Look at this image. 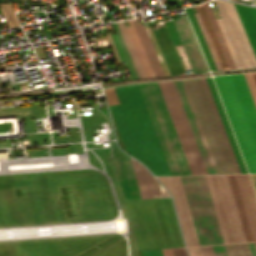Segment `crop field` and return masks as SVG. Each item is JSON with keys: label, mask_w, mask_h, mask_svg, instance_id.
<instances>
[{"label": "crop field", "mask_w": 256, "mask_h": 256, "mask_svg": "<svg viewBox=\"0 0 256 256\" xmlns=\"http://www.w3.org/2000/svg\"><path fill=\"white\" fill-rule=\"evenodd\" d=\"M114 89L121 104L110 107L127 153L154 175H171L138 86Z\"/></svg>", "instance_id": "1"}, {"label": "crop field", "mask_w": 256, "mask_h": 256, "mask_svg": "<svg viewBox=\"0 0 256 256\" xmlns=\"http://www.w3.org/2000/svg\"><path fill=\"white\" fill-rule=\"evenodd\" d=\"M138 86L171 174H191L157 83H144Z\"/></svg>", "instance_id": "2"}, {"label": "crop field", "mask_w": 256, "mask_h": 256, "mask_svg": "<svg viewBox=\"0 0 256 256\" xmlns=\"http://www.w3.org/2000/svg\"><path fill=\"white\" fill-rule=\"evenodd\" d=\"M200 245L223 243L204 176H180Z\"/></svg>", "instance_id": "3"}, {"label": "crop field", "mask_w": 256, "mask_h": 256, "mask_svg": "<svg viewBox=\"0 0 256 256\" xmlns=\"http://www.w3.org/2000/svg\"><path fill=\"white\" fill-rule=\"evenodd\" d=\"M192 174H207L172 81L157 82Z\"/></svg>", "instance_id": "4"}, {"label": "crop field", "mask_w": 256, "mask_h": 256, "mask_svg": "<svg viewBox=\"0 0 256 256\" xmlns=\"http://www.w3.org/2000/svg\"><path fill=\"white\" fill-rule=\"evenodd\" d=\"M222 70L236 68L209 3L195 6Z\"/></svg>", "instance_id": "5"}, {"label": "crop field", "mask_w": 256, "mask_h": 256, "mask_svg": "<svg viewBox=\"0 0 256 256\" xmlns=\"http://www.w3.org/2000/svg\"><path fill=\"white\" fill-rule=\"evenodd\" d=\"M208 174H218L182 80L173 81Z\"/></svg>", "instance_id": "6"}, {"label": "crop field", "mask_w": 256, "mask_h": 256, "mask_svg": "<svg viewBox=\"0 0 256 256\" xmlns=\"http://www.w3.org/2000/svg\"><path fill=\"white\" fill-rule=\"evenodd\" d=\"M112 158L124 199L141 198L130 157L116 146L112 148Z\"/></svg>", "instance_id": "7"}, {"label": "crop field", "mask_w": 256, "mask_h": 256, "mask_svg": "<svg viewBox=\"0 0 256 256\" xmlns=\"http://www.w3.org/2000/svg\"><path fill=\"white\" fill-rule=\"evenodd\" d=\"M152 29V28H151ZM153 34L156 38L158 46L161 50L163 58L166 62L168 70L171 75L181 74L179 70H182L180 60L178 58L175 47L171 41L166 27L157 28V30L152 29Z\"/></svg>", "instance_id": "8"}, {"label": "crop field", "mask_w": 256, "mask_h": 256, "mask_svg": "<svg viewBox=\"0 0 256 256\" xmlns=\"http://www.w3.org/2000/svg\"><path fill=\"white\" fill-rule=\"evenodd\" d=\"M244 204L245 212L253 236L256 241V202L248 175H235Z\"/></svg>", "instance_id": "9"}, {"label": "crop field", "mask_w": 256, "mask_h": 256, "mask_svg": "<svg viewBox=\"0 0 256 256\" xmlns=\"http://www.w3.org/2000/svg\"><path fill=\"white\" fill-rule=\"evenodd\" d=\"M256 56V8L233 4Z\"/></svg>", "instance_id": "10"}, {"label": "crop field", "mask_w": 256, "mask_h": 256, "mask_svg": "<svg viewBox=\"0 0 256 256\" xmlns=\"http://www.w3.org/2000/svg\"><path fill=\"white\" fill-rule=\"evenodd\" d=\"M172 20L174 22V25L176 27V30L178 32V35L180 37V40L182 42V45L184 47V50L186 52V55L188 57V60L190 62L193 72L194 73L203 72L181 17L178 16L173 18Z\"/></svg>", "instance_id": "11"}, {"label": "crop field", "mask_w": 256, "mask_h": 256, "mask_svg": "<svg viewBox=\"0 0 256 256\" xmlns=\"http://www.w3.org/2000/svg\"><path fill=\"white\" fill-rule=\"evenodd\" d=\"M242 173H247L211 78H205Z\"/></svg>", "instance_id": "12"}, {"label": "crop field", "mask_w": 256, "mask_h": 256, "mask_svg": "<svg viewBox=\"0 0 256 256\" xmlns=\"http://www.w3.org/2000/svg\"><path fill=\"white\" fill-rule=\"evenodd\" d=\"M247 241H253L234 175H227Z\"/></svg>", "instance_id": "13"}, {"label": "crop field", "mask_w": 256, "mask_h": 256, "mask_svg": "<svg viewBox=\"0 0 256 256\" xmlns=\"http://www.w3.org/2000/svg\"><path fill=\"white\" fill-rule=\"evenodd\" d=\"M128 22H129V24H130L131 27H128L127 30H128L129 35H130V37H131V40H132V42H133V45H134V47H135V49H136V52H137V54H138V57H139L140 62H141V64H142V67H143V69H144V71H145V74H146L147 77L154 76L153 73H152V70H151V68H150V65H149V63H148V60H147V58H146V55H145V53H144V50H143V48H142V46H141V43H140V41H139V38H138V36H137V33H136V31H135V28H134V26H133V23H132L131 20H129Z\"/></svg>", "instance_id": "14"}, {"label": "crop field", "mask_w": 256, "mask_h": 256, "mask_svg": "<svg viewBox=\"0 0 256 256\" xmlns=\"http://www.w3.org/2000/svg\"><path fill=\"white\" fill-rule=\"evenodd\" d=\"M185 11H186V13H187V15H188V18H189V20H190V22H191V25H192V27H193V29H194V32H195L196 36H197V39H198V41H199V43H200V45H201V48H202V50H203V52H204V55H205V57H206V59H207V62H208V64H209V66H210V70H217L216 67H215V65H214V62H213V60H212V58H211V55H210V53H209V50H208V48H207V46H206V43H205V41H204V39H203V36H202V34H201V32H200V29H199V27H198V24H197V22H196V20H195V17H194V15H193V13H192L191 8L188 7V8L185 9Z\"/></svg>", "instance_id": "15"}, {"label": "crop field", "mask_w": 256, "mask_h": 256, "mask_svg": "<svg viewBox=\"0 0 256 256\" xmlns=\"http://www.w3.org/2000/svg\"><path fill=\"white\" fill-rule=\"evenodd\" d=\"M117 24H118V26H119V29H120L121 33H122V36H123V38H124V41H125V43H126V46H127L128 50H129V53H130V55H131V58H132V60H133V63H134V65H135V68H136V70H137V72H138L139 77H140V78L146 77L145 74H144V72H143V69H142V67H141V64H140V62H139V60H138V57H137V55H136V53H135V50H134V48H133V45H132V43H131V41H130V38H129V36H128V33H127L126 29H125L124 23H123V22H119V23H117Z\"/></svg>", "instance_id": "16"}, {"label": "crop field", "mask_w": 256, "mask_h": 256, "mask_svg": "<svg viewBox=\"0 0 256 256\" xmlns=\"http://www.w3.org/2000/svg\"><path fill=\"white\" fill-rule=\"evenodd\" d=\"M112 25H113V27H114V29H115V31H116V33H117V36H118V38H119L120 44H121V46H122L123 52H124V54H125V57H126V60H127V62H128V65H129V68H130V70H131V73H132L133 78H134V79L139 78L138 75H137V72H136V70H135V68H134V65H133V63H132V60H131V58H130V55H129L128 51H127V48H126V46H125V43H124L123 38H122V36H121V33H120L119 29H118L117 24L114 23V24H112Z\"/></svg>", "instance_id": "17"}, {"label": "crop field", "mask_w": 256, "mask_h": 256, "mask_svg": "<svg viewBox=\"0 0 256 256\" xmlns=\"http://www.w3.org/2000/svg\"><path fill=\"white\" fill-rule=\"evenodd\" d=\"M202 79H203V82H204V84H205L206 90H207V92H208L209 98H210V100H211L212 106H213V108H214L215 114H216V116H217L218 122H219V124H220L221 130H222V132H223L224 138H225V140H226L227 146H228V148H229L230 154H231V156H232L233 162H234V164H235L236 170H237L238 173H241L240 170H239L238 164H237V162H236V159H235V157H234L233 151H232V149H231V146H230V144H229L228 138H227V136H226V133H225V131H224V128H223V126H222L221 120H220L219 115H218V113H217L216 107H215L214 102H213V100H212L211 94H210L209 89H208V87H207L206 81H205L204 78H202Z\"/></svg>", "instance_id": "18"}, {"label": "crop field", "mask_w": 256, "mask_h": 256, "mask_svg": "<svg viewBox=\"0 0 256 256\" xmlns=\"http://www.w3.org/2000/svg\"><path fill=\"white\" fill-rule=\"evenodd\" d=\"M181 17H182L183 22H184V24H185V26H186V29H187L188 34H189V36H190V39H191V41H192V43H193V46H194V48H195V51H196L197 56H198V58H199V61H200L201 65H202V68H203L204 71H207L208 69H207V67H206V65H205V62H204V60H203V57H202V55H201V53H200V50H199V48H198V45H197V43H196V40H195L194 35H193V33H192V30H191V28H190V26H189V23H188V21H187V18H186L185 15H183V16H181Z\"/></svg>", "instance_id": "19"}, {"label": "crop field", "mask_w": 256, "mask_h": 256, "mask_svg": "<svg viewBox=\"0 0 256 256\" xmlns=\"http://www.w3.org/2000/svg\"><path fill=\"white\" fill-rule=\"evenodd\" d=\"M194 15H195L196 20H197V22H198V24H199V27H200V29H201V31H202V34H203V36H204V38H205V41H206L207 46H208V48H209V50H210V53H211V55H212V57H213V60H214V62H215V65H216V67H217L218 70H221L220 67H219V65H218V62H217V60H216V58H215V55H214V53H213V50H212V48H211V46H210V43H209V41H208V39H207V36H206V34H205V32H204V29H203V27H202V24H201V22H200V20H199V17H198V15H197L196 12H194Z\"/></svg>", "instance_id": "20"}, {"label": "crop field", "mask_w": 256, "mask_h": 256, "mask_svg": "<svg viewBox=\"0 0 256 256\" xmlns=\"http://www.w3.org/2000/svg\"><path fill=\"white\" fill-rule=\"evenodd\" d=\"M244 75H245V78L247 80L248 86L250 88L251 94L253 96L254 102L256 104V85H255L254 79L252 77V74L247 73V74H244Z\"/></svg>", "instance_id": "21"}, {"label": "crop field", "mask_w": 256, "mask_h": 256, "mask_svg": "<svg viewBox=\"0 0 256 256\" xmlns=\"http://www.w3.org/2000/svg\"><path fill=\"white\" fill-rule=\"evenodd\" d=\"M147 174L152 188L153 196L161 197L158 182L153 178V176L148 171Z\"/></svg>", "instance_id": "22"}, {"label": "crop field", "mask_w": 256, "mask_h": 256, "mask_svg": "<svg viewBox=\"0 0 256 256\" xmlns=\"http://www.w3.org/2000/svg\"><path fill=\"white\" fill-rule=\"evenodd\" d=\"M185 69L191 68L181 45L175 46Z\"/></svg>", "instance_id": "23"}, {"label": "crop field", "mask_w": 256, "mask_h": 256, "mask_svg": "<svg viewBox=\"0 0 256 256\" xmlns=\"http://www.w3.org/2000/svg\"><path fill=\"white\" fill-rule=\"evenodd\" d=\"M215 256H227L225 246L224 245H218V246H212Z\"/></svg>", "instance_id": "24"}, {"label": "crop field", "mask_w": 256, "mask_h": 256, "mask_svg": "<svg viewBox=\"0 0 256 256\" xmlns=\"http://www.w3.org/2000/svg\"><path fill=\"white\" fill-rule=\"evenodd\" d=\"M145 256H162L160 250L144 251Z\"/></svg>", "instance_id": "25"}, {"label": "crop field", "mask_w": 256, "mask_h": 256, "mask_svg": "<svg viewBox=\"0 0 256 256\" xmlns=\"http://www.w3.org/2000/svg\"><path fill=\"white\" fill-rule=\"evenodd\" d=\"M247 244H248V248H249V251H250V255L251 256H256V250H255V247H254V243L250 242V243H247Z\"/></svg>", "instance_id": "26"}, {"label": "crop field", "mask_w": 256, "mask_h": 256, "mask_svg": "<svg viewBox=\"0 0 256 256\" xmlns=\"http://www.w3.org/2000/svg\"><path fill=\"white\" fill-rule=\"evenodd\" d=\"M163 256H173L171 249L161 250Z\"/></svg>", "instance_id": "27"}, {"label": "crop field", "mask_w": 256, "mask_h": 256, "mask_svg": "<svg viewBox=\"0 0 256 256\" xmlns=\"http://www.w3.org/2000/svg\"><path fill=\"white\" fill-rule=\"evenodd\" d=\"M253 74V77L255 79V82H256V73H252Z\"/></svg>", "instance_id": "28"}, {"label": "crop field", "mask_w": 256, "mask_h": 256, "mask_svg": "<svg viewBox=\"0 0 256 256\" xmlns=\"http://www.w3.org/2000/svg\"><path fill=\"white\" fill-rule=\"evenodd\" d=\"M255 243V247H256V242H254Z\"/></svg>", "instance_id": "29"}]
</instances>
